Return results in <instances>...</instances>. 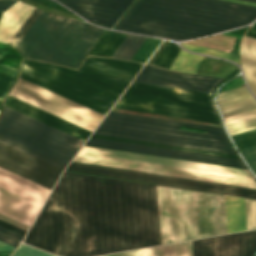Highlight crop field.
<instances>
[{"label": "crop field", "mask_w": 256, "mask_h": 256, "mask_svg": "<svg viewBox=\"0 0 256 256\" xmlns=\"http://www.w3.org/2000/svg\"><path fill=\"white\" fill-rule=\"evenodd\" d=\"M161 244L227 233L224 196L156 186Z\"/></svg>", "instance_id": "crop-field-4"}, {"label": "crop field", "mask_w": 256, "mask_h": 256, "mask_svg": "<svg viewBox=\"0 0 256 256\" xmlns=\"http://www.w3.org/2000/svg\"><path fill=\"white\" fill-rule=\"evenodd\" d=\"M253 25L256 26V22Z\"/></svg>", "instance_id": "crop-field-50"}, {"label": "crop field", "mask_w": 256, "mask_h": 256, "mask_svg": "<svg viewBox=\"0 0 256 256\" xmlns=\"http://www.w3.org/2000/svg\"><path fill=\"white\" fill-rule=\"evenodd\" d=\"M143 256H163V246L143 249Z\"/></svg>", "instance_id": "crop-field-38"}, {"label": "crop field", "mask_w": 256, "mask_h": 256, "mask_svg": "<svg viewBox=\"0 0 256 256\" xmlns=\"http://www.w3.org/2000/svg\"><path fill=\"white\" fill-rule=\"evenodd\" d=\"M207 130V134L179 130ZM96 134L234 154L222 128L110 111Z\"/></svg>", "instance_id": "crop-field-5"}, {"label": "crop field", "mask_w": 256, "mask_h": 256, "mask_svg": "<svg viewBox=\"0 0 256 256\" xmlns=\"http://www.w3.org/2000/svg\"><path fill=\"white\" fill-rule=\"evenodd\" d=\"M0 226L5 227V228H7V229H9V230H11L13 232H16V233L22 235V236H24L25 233H26V231H24V230H22L20 228H17V227H15L13 225H10V224H8V223H6L4 221H1V220H0Z\"/></svg>", "instance_id": "crop-field-39"}, {"label": "crop field", "mask_w": 256, "mask_h": 256, "mask_svg": "<svg viewBox=\"0 0 256 256\" xmlns=\"http://www.w3.org/2000/svg\"><path fill=\"white\" fill-rule=\"evenodd\" d=\"M92 137H94V138H101V139H108V140H114V141H121V142L142 144V145H148V146H155V147H162V148H169V149H176V150H183V151H189V152H196V153H203V154H210V155H217V156H223V157H230V158H237V159H239L238 156H234V155L221 154V153H214V152L201 151V150L188 149V148H181V147L168 146V145L155 144V143L142 142V141H135V140H129V139L116 138V137L102 136V135H96V134H93Z\"/></svg>", "instance_id": "crop-field-27"}, {"label": "crop field", "mask_w": 256, "mask_h": 256, "mask_svg": "<svg viewBox=\"0 0 256 256\" xmlns=\"http://www.w3.org/2000/svg\"><path fill=\"white\" fill-rule=\"evenodd\" d=\"M142 65L90 56L75 70L23 59L19 77L105 115Z\"/></svg>", "instance_id": "crop-field-3"}, {"label": "crop field", "mask_w": 256, "mask_h": 256, "mask_svg": "<svg viewBox=\"0 0 256 256\" xmlns=\"http://www.w3.org/2000/svg\"><path fill=\"white\" fill-rule=\"evenodd\" d=\"M10 95L91 131H93L103 117V115L97 112L78 105L20 78L16 82Z\"/></svg>", "instance_id": "crop-field-13"}, {"label": "crop field", "mask_w": 256, "mask_h": 256, "mask_svg": "<svg viewBox=\"0 0 256 256\" xmlns=\"http://www.w3.org/2000/svg\"><path fill=\"white\" fill-rule=\"evenodd\" d=\"M256 231L192 241L193 256H252Z\"/></svg>", "instance_id": "crop-field-15"}, {"label": "crop field", "mask_w": 256, "mask_h": 256, "mask_svg": "<svg viewBox=\"0 0 256 256\" xmlns=\"http://www.w3.org/2000/svg\"><path fill=\"white\" fill-rule=\"evenodd\" d=\"M80 156L255 182L248 170L83 146Z\"/></svg>", "instance_id": "crop-field-12"}, {"label": "crop field", "mask_w": 256, "mask_h": 256, "mask_svg": "<svg viewBox=\"0 0 256 256\" xmlns=\"http://www.w3.org/2000/svg\"><path fill=\"white\" fill-rule=\"evenodd\" d=\"M87 20L111 28L133 0H58Z\"/></svg>", "instance_id": "crop-field-18"}, {"label": "crop field", "mask_w": 256, "mask_h": 256, "mask_svg": "<svg viewBox=\"0 0 256 256\" xmlns=\"http://www.w3.org/2000/svg\"><path fill=\"white\" fill-rule=\"evenodd\" d=\"M244 1H249V2H254V3H256V0H244Z\"/></svg>", "instance_id": "crop-field-49"}, {"label": "crop field", "mask_w": 256, "mask_h": 256, "mask_svg": "<svg viewBox=\"0 0 256 256\" xmlns=\"http://www.w3.org/2000/svg\"><path fill=\"white\" fill-rule=\"evenodd\" d=\"M116 109L221 124L212 94L132 82Z\"/></svg>", "instance_id": "crop-field-7"}, {"label": "crop field", "mask_w": 256, "mask_h": 256, "mask_svg": "<svg viewBox=\"0 0 256 256\" xmlns=\"http://www.w3.org/2000/svg\"><path fill=\"white\" fill-rule=\"evenodd\" d=\"M14 79V76L0 72V100L7 94Z\"/></svg>", "instance_id": "crop-field-35"}, {"label": "crop field", "mask_w": 256, "mask_h": 256, "mask_svg": "<svg viewBox=\"0 0 256 256\" xmlns=\"http://www.w3.org/2000/svg\"><path fill=\"white\" fill-rule=\"evenodd\" d=\"M0 240L6 242V243H8V244H11V245H13V246H15V247H17V245L19 244L18 242L14 241V240H12V239H9V238H7V237L1 235V234H0Z\"/></svg>", "instance_id": "crop-field-44"}, {"label": "crop field", "mask_w": 256, "mask_h": 256, "mask_svg": "<svg viewBox=\"0 0 256 256\" xmlns=\"http://www.w3.org/2000/svg\"><path fill=\"white\" fill-rule=\"evenodd\" d=\"M145 39V37L129 34L112 57L130 60Z\"/></svg>", "instance_id": "crop-field-26"}, {"label": "crop field", "mask_w": 256, "mask_h": 256, "mask_svg": "<svg viewBox=\"0 0 256 256\" xmlns=\"http://www.w3.org/2000/svg\"><path fill=\"white\" fill-rule=\"evenodd\" d=\"M3 57L0 56V60L2 59Z\"/></svg>", "instance_id": "crop-field-51"}, {"label": "crop field", "mask_w": 256, "mask_h": 256, "mask_svg": "<svg viewBox=\"0 0 256 256\" xmlns=\"http://www.w3.org/2000/svg\"><path fill=\"white\" fill-rule=\"evenodd\" d=\"M0 219H2V220H4V221H6V222H9V223H11V224H13V225H15V226H17V227H20V228H22V229H24V230H28V227H26V226H24V225H22V224H19V223H17V222H15V221H13V220H10V219H8V218H6V217H4V216H2V215H0Z\"/></svg>", "instance_id": "crop-field-43"}, {"label": "crop field", "mask_w": 256, "mask_h": 256, "mask_svg": "<svg viewBox=\"0 0 256 256\" xmlns=\"http://www.w3.org/2000/svg\"><path fill=\"white\" fill-rule=\"evenodd\" d=\"M177 46L172 42H168L152 64L169 69L181 49Z\"/></svg>", "instance_id": "crop-field-28"}, {"label": "crop field", "mask_w": 256, "mask_h": 256, "mask_svg": "<svg viewBox=\"0 0 256 256\" xmlns=\"http://www.w3.org/2000/svg\"><path fill=\"white\" fill-rule=\"evenodd\" d=\"M13 249H14V247L0 241V251L1 250H13Z\"/></svg>", "instance_id": "crop-field-46"}, {"label": "crop field", "mask_w": 256, "mask_h": 256, "mask_svg": "<svg viewBox=\"0 0 256 256\" xmlns=\"http://www.w3.org/2000/svg\"><path fill=\"white\" fill-rule=\"evenodd\" d=\"M65 171L256 199V189L71 162Z\"/></svg>", "instance_id": "crop-field-9"}, {"label": "crop field", "mask_w": 256, "mask_h": 256, "mask_svg": "<svg viewBox=\"0 0 256 256\" xmlns=\"http://www.w3.org/2000/svg\"><path fill=\"white\" fill-rule=\"evenodd\" d=\"M226 1H231V2H236V3H242V4L256 6V4H254V3H249V2H244V1H238V0H226Z\"/></svg>", "instance_id": "crop-field-48"}, {"label": "crop field", "mask_w": 256, "mask_h": 256, "mask_svg": "<svg viewBox=\"0 0 256 256\" xmlns=\"http://www.w3.org/2000/svg\"><path fill=\"white\" fill-rule=\"evenodd\" d=\"M228 233L246 230L243 199L225 196Z\"/></svg>", "instance_id": "crop-field-23"}, {"label": "crop field", "mask_w": 256, "mask_h": 256, "mask_svg": "<svg viewBox=\"0 0 256 256\" xmlns=\"http://www.w3.org/2000/svg\"><path fill=\"white\" fill-rule=\"evenodd\" d=\"M18 0H0V13L7 10L9 7H11L15 2Z\"/></svg>", "instance_id": "crop-field-41"}, {"label": "crop field", "mask_w": 256, "mask_h": 256, "mask_svg": "<svg viewBox=\"0 0 256 256\" xmlns=\"http://www.w3.org/2000/svg\"><path fill=\"white\" fill-rule=\"evenodd\" d=\"M245 35L256 38V27L252 26Z\"/></svg>", "instance_id": "crop-field-45"}, {"label": "crop field", "mask_w": 256, "mask_h": 256, "mask_svg": "<svg viewBox=\"0 0 256 256\" xmlns=\"http://www.w3.org/2000/svg\"><path fill=\"white\" fill-rule=\"evenodd\" d=\"M33 9L18 1L4 12L0 20V42L8 43Z\"/></svg>", "instance_id": "crop-field-21"}, {"label": "crop field", "mask_w": 256, "mask_h": 256, "mask_svg": "<svg viewBox=\"0 0 256 256\" xmlns=\"http://www.w3.org/2000/svg\"><path fill=\"white\" fill-rule=\"evenodd\" d=\"M106 256H142V249L123 252V253H117L112 255H106Z\"/></svg>", "instance_id": "crop-field-40"}, {"label": "crop field", "mask_w": 256, "mask_h": 256, "mask_svg": "<svg viewBox=\"0 0 256 256\" xmlns=\"http://www.w3.org/2000/svg\"><path fill=\"white\" fill-rule=\"evenodd\" d=\"M73 161L256 188V183H252V182L232 180V179L219 178V177H212V176L199 175V174L186 173V172H179V171L166 170V169H159V168L146 167V166H139V165L126 164V163L113 162V161H106V160H100V159L86 158V157H80V156H76Z\"/></svg>", "instance_id": "crop-field-19"}, {"label": "crop field", "mask_w": 256, "mask_h": 256, "mask_svg": "<svg viewBox=\"0 0 256 256\" xmlns=\"http://www.w3.org/2000/svg\"><path fill=\"white\" fill-rule=\"evenodd\" d=\"M256 7L220 0H138L115 29L186 40L249 24Z\"/></svg>", "instance_id": "crop-field-2"}, {"label": "crop field", "mask_w": 256, "mask_h": 256, "mask_svg": "<svg viewBox=\"0 0 256 256\" xmlns=\"http://www.w3.org/2000/svg\"><path fill=\"white\" fill-rule=\"evenodd\" d=\"M241 152L244 155L247 162L249 163V165L251 166V168L256 173V146L245 150H241Z\"/></svg>", "instance_id": "crop-field-37"}, {"label": "crop field", "mask_w": 256, "mask_h": 256, "mask_svg": "<svg viewBox=\"0 0 256 256\" xmlns=\"http://www.w3.org/2000/svg\"><path fill=\"white\" fill-rule=\"evenodd\" d=\"M4 104L42 122H45L53 127H56L64 132L76 136L84 141H86L88 136L91 134V131L85 128L75 125L53 114H50L10 95H8Z\"/></svg>", "instance_id": "crop-field-20"}, {"label": "crop field", "mask_w": 256, "mask_h": 256, "mask_svg": "<svg viewBox=\"0 0 256 256\" xmlns=\"http://www.w3.org/2000/svg\"><path fill=\"white\" fill-rule=\"evenodd\" d=\"M239 150L256 145V130L232 136Z\"/></svg>", "instance_id": "crop-field-31"}, {"label": "crop field", "mask_w": 256, "mask_h": 256, "mask_svg": "<svg viewBox=\"0 0 256 256\" xmlns=\"http://www.w3.org/2000/svg\"><path fill=\"white\" fill-rule=\"evenodd\" d=\"M164 256H172V245L164 247Z\"/></svg>", "instance_id": "crop-field-47"}, {"label": "crop field", "mask_w": 256, "mask_h": 256, "mask_svg": "<svg viewBox=\"0 0 256 256\" xmlns=\"http://www.w3.org/2000/svg\"><path fill=\"white\" fill-rule=\"evenodd\" d=\"M87 146L244 168L241 160L90 138Z\"/></svg>", "instance_id": "crop-field-17"}, {"label": "crop field", "mask_w": 256, "mask_h": 256, "mask_svg": "<svg viewBox=\"0 0 256 256\" xmlns=\"http://www.w3.org/2000/svg\"><path fill=\"white\" fill-rule=\"evenodd\" d=\"M126 36V34L107 31L89 55L111 57Z\"/></svg>", "instance_id": "crop-field-24"}, {"label": "crop field", "mask_w": 256, "mask_h": 256, "mask_svg": "<svg viewBox=\"0 0 256 256\" xmlns=\"http://www.w3.org/2000/svg\"><path fill=\"white\" fill-rule=\"evenodd\" d=\"M173 256H192L191 241L173 244Z\"/></svg>", "instance_id": "crop-field-36"}, {"label": "crop field", "mask_w": 256, "mask_h": 256, "mask_svg": "<svg viewBox=\"0 0 256 256\" xmlns=\"http://www.w3.org/2000/svg\"><path fill=\"white\" fill-rule=\"evenodd\" d=\"M12 256H54L27 245L21 244Z\"/></svg>", "instance_id": "crop-field-34"}, {"label": "crop field", "mask_w": 256, "mask_h": 256, "mask_svg": "<svg viewBox=\"0 0 256 256\" xmlns=\"http://www.w3.org/2000/svg\"><path fill=\"white\" fill-rule=\"evenodd\" d=\"M222 80L145 65L134 81L213 93Z\"/></svg>", "instance_id": "crop-field-16"}, {"label": "crop field", "mask_w": 256, "mask_h": 256, "mask_svg": "<svg viewBox=\"0 0 256 256\" xmlns=\"http://www.w3.org/2000/svg\"><path fill=\"white\" fill-rule=\"evenodd\" d=\"M160 42L161 40L147 38L131 60L146 62Z\"/></svg>", "instance_id": "crop-field-29"}, {"label": "crop field", "mask_w": 256, "mask_h": 256, "mask_svg": "<svg viewBox=\"0 0 256 256\" xmlns=\"http://www.w3.org/2000/svg\"><path fill=\"white\" fill-rule=\"evenodd\" d=\"M183 51L181 49L180 53L178 54L176 60L174 61L173 65L171 66L170 70L196 73L203 57L194 55V54H190V53H186Z\"/></svg>", "instance_id": "crop-field-25"}, {"label": "crop field", "mask_w": 256, "mask_h": 256, "mask_svg": "<svg viewBox=\"0 0 256 256\" xmlns=\"http://www.w3.org/2000/svg\"><path fill=\"white\" fill-rule=\"evenodd\" d=\"M0 135L65 165L84 143L7 106L0 115Z\"/></svg>", "instance_id": "crop-field-8"}, {"label": "crop field", "mask_w": 256, "mask_h": 256, "mask_svg": "<svg viewBox=\"0 0 256 256\" xmlns=\"http://www.w3.org/2000/svg\"><path fill=\"white\" fill-rule=\"evenodd\" d=\"M49 193L0 168V214L30 227Z\"/></svg>", "instance_id": "crop-field-10"}, {"label": "crop field", "mask_w": 256, "mask_h": 256, "mask_svg": "<svg viewBox=\"0 0 256 256\" xmlns=\"http://www.w3.org/2000/svg\"><path fill=\"white\" fill-rule=\"evenodd\" d=\"M247 230L256 229V201L244 199Z\"/></svg>", "instance_id": "crop-field-33"}, {"label": "crop field", "mask_w": 256, "mask_h": 256, "mask_svg": "<svg viewBox=\"0 0 256 256\" xmlns=\"http://www.w3.org/2000/svg\"><path fill=\"white\" fill-rule=\"evenodd\" d=\"M0 233L5 234V235H7L9 237H12V238H14V239H16L18 241H21L22 238H23L22 236H20V235H18L16 233H13V232H11V231H9V230H7L5 228H2V227H0Z\"/></svg>", "instance_id": "crop-field-42"}, {"label": "crop field", "mask_w": 256, "mask_h": 256, "mask_svg": "<svg viewBox=\"0 0 256 256\" xmlns=\"http://www.w3.org/2000/svg\"><path fill=\"white\" fill-rule=\"evenodd\" d=\"M24 243L59 256L158 245L155 186L64 172Z\"/></svg>", "instance_id": "crop-field-1"}, {"label": "crop field", "mask_w": 256, "mask_h": 256, "mask_svg": "<svg viewBox=\"0 0 256 256\" xmlns=\"http://www.w3.org/2000/svg\"><path fill=\"white\" fill-rule=\"evenodd\" d=\"M0 167L52 190L65 165L0 136Z\"/></svg>", "instance_id": "crop-field-11"}, {"label": "crop field", "mask_w": 256, "mask_h": 256, "mask_svg": "<svg viewBox=\"0 0 256 256\" xmlns=\"http://www.w3.org/2000/svg\"><path fill=\"white\" fill-rule=\"evenodd\" d=\"M240 60L247 84L256 96V40L242 37Z\"/></svg>", "instance_id": "crop-field-22"}, {"label": "crop field", "mask_w": 256, "mask_h": 256, "mask_svg": "<svg viewBox=\"0 0 256 256\" xmlns=\"http://www.w3.org/2000/svg\"><path fill=\"white\" fill-rule=\"evenodd\" d=\"M103 31L43 11L15 49L26 58L76 68Z\"/></svg>", "instance_id": "crop-field-6"}, {"label": "crop field", "mask_w": 256, "mask_h": 256, "mask_svg": "<svg viewBox=\"0 0 256 256\" xmlns=\"http://www.w3.org/2000/svg\"><path fill=\"white\" fill-rule=\"evenodd\" d=\"M230 136L256 128V101L246 86H240L218 95Z\"/></svg>", "instance_id": "crop-field-14"}, {"label": "crop field", "mask_w": 256, "mask_h": 256, "mask_svg": "<svg viewBox=\"0 0 256 256\" xmlns=\"http://www.w3.org/2000/svg\"><path fill=\"white\" fill-rule=\"evenodd\" d=\"M42 10L34 9V11L31 13V15L28 17V19L24 22V24L21 26V28L17 31V33L14 35V37L9 42L12 47H16V45L19 43V41L22 39V37L25 35V33L29 30V28L32 26V24L35 22V20L38 18V16L41 14Z\"/></svg>", "instance_id": "crop-field-30"}, {"label": "crop field", "mask_w": 256, "mask_h": 256, "mask_svg": "<svg viewBox=\"0 0 256 256\" xmlns=\"http://www.w3.org/2000/svg\"><path fill=\"white\" fill-rule=\"evenodd\" d=\"M180 45L183 46L184 48L188 49V50H191V51L200 52V53L209 54V55H214V56L226 58V59L235 61L237 63H240L239 57L236 56V55H232V54H228V53H224V52H219V51H215V50H210V49H206V48H202V47H197V46H193V45H188V44H184V43H180Z\"/></svg>", "instance_id": "crop-field-32"}]
</instances>
